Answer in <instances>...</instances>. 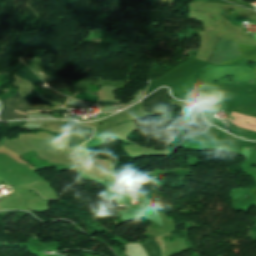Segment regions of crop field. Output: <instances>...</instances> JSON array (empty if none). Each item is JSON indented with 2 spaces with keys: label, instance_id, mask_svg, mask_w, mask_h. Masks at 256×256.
<instances>
[{
  "label": "crop field",
  "instance_id": "crop-field-1",
  "mask_svg": "<svg viewBox=\"0 0 256 256\" xmlns=\"http://www.w3.org/2000/svg\"><path fill=\"white\" fill-rule=\"evenodd\" d=\"M239 55L240 54L236 43L216 38L213 50L207 61L219 64Z\"/></svg>",
  "mask_w": 256,
  "mask_h": 256
},
{
  "label": "crop field",
  "instance_id": "crop-field-2",
  "mask_svg": "<svg viewBox=\"0 0 256 256\" xmlns=\"http://www.w3.org/2000/svg\"><path fill=\"white\" fill-rule=\"evenodd\" d=\"M168 90L161 88L149 97L142 100V109L148 113L161 114L168 107L172 106V102L167 97Z\"/></svg>",
  "mask_w": 256,
  "mask_h": 256
},
{
  "label": "crop field",
  "instance_id": "crop-field-3",
  "mask_svg": "<svg viewBox=\"0 0 256 256\" xmlns=\"http://www.w3.org/2000/svg\"><path fill=\"white\" fill-rule=\"evenodd\" d=\"M6 105L20 111V112H27L29 111H37V110H51L50 107L40 106V105H29L25 101L22 100L20 95L13 96L8 99L2 100ZM28 111V112H29ZM43 112H50V111H43Z\"/></svg>",
  "mask_w": 256,
  "mask_h": 256
},
{
  "label": "crop field",
  "instance_id": "crop-field-4",
  "mask_svg": "<svg viewBox=\"0 0 256 256\" xmlns=\"http://www.w3.org/2000/svg\"><path fill=\"white\" fill-rule=\"evenodd\" d=\"M150 256H162L161 238L143 243Z\"/></svg>",
  "mask_w": 256,
  "mask_h": 256
},
{
  "label": "crop field",
  "instance_id": "crop-field-5",
  "mask_svg": "<svg viewBox=\"0 0 256 256\" xmlns=\"http://www.w3.org/2000/svg\"><path fill=\"white\" fill-rule=\"evenodd\" d=\"M16 112H14V110H12V109H10V108H8V107L3 105L2 106V110H1V114H0V119L1 120H9V118H13V119L25 118L26 115L18 114Z\"/></svg>",
  "mask_w": 256,
  "mask_h": 256
},
{
  "label": "crop field",
  "instance_id": "crop-field-6",
  "mask_svg": "<svg viewBox=\"0 0 256 256\" xmlns=\"http://www.w3.org/2000/svg\"><path fill=\"white\" fill-rule=\"evenodd\" d=\"M51 81L47 82L48 85L55 89H64L68 86H73V84L70 82V80L61 78V79H50Z\"/></svg>",
  "mask_w": 256,
  "mask_h": 256
},
{
  "label": "crop field",
  "instance_id": "crop-field-7",
  "mask_svg": "<svg viewBox=\"0 0 256 256\" xmlns=\"http://www.w3.org/2000/svg\"><path fill=\"white\" fill-rule=\"evenodd\" d=\"M92 134H93V132L88 133L86 135L76 137V138L68 139L70 147L76 146L80 143H83V142L89 140V138L92 136Z\"/></svg>",
  "mask_w": 256,
  "mask_h": 256
},
{
  "label": "crop field",
  "instance_id": "crop-field-8",
  "mask_svg": "<svg viewBox=\"0 0 256 256\" xmlns=\"http://www.w3.org/2000/svg\"><path fill=\"white\" fill-rule=\"evenodd\" d=\"M59 94V93H58ZM57 93L53 92L52 94L43 96L44 99L57 102V103H65L68 99L66 96L58 95Z\"/></svg>",
  "mask_w": 256,
  "mask_h": 256
},
{
  "label": "crop field",
  "instance_id": "crop-field-9",
  "mask_svg": "<svg viewBox=\"0 0 256 256\" xmlns=\"http://www.w3.org/2000/svg\"><path fill=\"white\" fill-rule=\"evenodd\" d=\"M229 17L231 18L232 21L235 22V24H237L238 26H240L241 24H243L245 21L252 23L253 20L250 19H245L244 17H242L241 15L235 13V12H231L229 13Z\"/></svg>",
  "mask_w": 256,
  "mask_h": 256
},
{
  "label": "crop field",
  "instance_id": "crop-field-10",
  "mask_svg": "<svg viewBox=\"0 0 256 256\" xmlns=\"http://www.w3.org/2000/svg\"><path fill=\"white\" fill-rule=\"evenodd\" d=\"M75 98H78L80 100H84V101H89V102H94L96 103L98 100V96L96 95H92V94H87V93H78Z\"/></svg>",
  "mask_w": 256,
  "mask_h": 256
},
{
  "label": "crop field",
  "instance_id": "crop-field-11",
  "mask_svg": "<svg viewBox=\"0 0 256 256\" xmlns=\"http://www.w3.org/2000/svg\"><path fill=\"white\" fill-rule=\"evenodd\" d=\"M24 100L30 102L32 105L35 104V103H40V104H49V105H53L52 103H49L47 101H44V100H41L31 94L23 97Z\"/></svg>",
  "mask_w": 256,
  "mask_h": 256
},
{
  "label": "crop field",
  "instance_id": "crop-field-12",
  "mask_svg": "<svg viewBox=\"0 0 256 256\" xmlns=\"http://www.w3.org/2000/svg\"><path fill=\"white\" fill-rule=\"evenodd\" d=\"M15 75H17L20 78H24V79L28 80L32 84V86H34L35 84L38 85L37 81H35L32 77H30L28 74L24 73L21 70H16Z\"/></svg>",
  "mask_w": 256,
  "mask_h": 256
},
{
  "label": "crop field",
  "instance_id": "crop-field-13",
  "mask_svg": "<svg viewBox=\"0 0 256 256\" xmlns=\"http://www.w3.org/2000/svg\"><path fill=\"white\" fill-rule=\"evenodd\" d=\"M17 68L26 71L28 74H30L32 77H34L36 80H38L39 82L44 84L38 77L34 76L33 72L31 70H29L21 61H19V64H18Z\"/></svg>",
  "mask_w": 256,
  "mask_h": 256
},
{
  "label": "crop field",
  "instance_id": "crop-field-14",
  "mask_svg": "<svg viewBox=\"0 0 256 256\" xmlns=\"http://www.w3.org/2000/svg\"><path fill=\"white\" fill-rule=\"evenodd\" d=\"M100 105H117L115 103L98 102Z\"/></svg>",
  "mask_w": 256,
  "mask_h": 256
},
{
  "label": "crop field",
  "instance_id": "crop-field-15",
  "mask_svg": "<svg viewBox=\"0 0 256 256\" xmlns=\"http://www.w3.org/2000/svg\"><path fill=\"white\" fill-rule=\"evenodd\" d=\"M52 112H57V113H67V110H60V111L52 110Z\"/></svg>",
  "mask_w": 256,
  "mask_h": 256
},
{
  "label": "crop field",
  "instance_id": "crop-field-16",
  "mask_svg": "<svg viewBox=\"0 0 256 256\" xmlns=\"http://www.w3.org/2000/svg\"><path fill=\"white\" fill-rule=\"evenodd\" d=\"M255 152H256V146L254 147V149H253Z\"/></svg>",
  "mask_w": 256,
  "mask_h": 256
}]
</instances>
